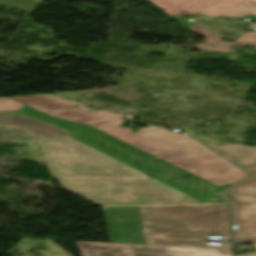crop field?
Instances as JSON below:
<instances>
[{
	"mask_svg": "<svg viewBox=\"0 0 256 256\" xmlns=\"http://www.w3.org/2000/svg\"><path fill=\"white\" fill-rule=\"evenodd\" d=\"M172 15L182 12L244 17L256 14V0H153Z\"/></svg>",
	"mask_w": 256,
	"mask_h": 256,
	"instance_id": "7",
	"label": "crop field"
},
{
	"mask_svg": "<svg viewBox=\"0 0 256 256\" xmlns=\"http://www.w3.org/2000/svg\"><path fill=\"white\" fill-rule=\"evenodd\" d=\"M105 212L112 243L232 249L207 245L208 235L232 241L226 205L107 207Z\"/></svg>",
	"mask_w": 256,
	"mask_h": 256,
	"instance_id": "3",
	"label": "crop field"
},
{
	"mask_svg": "<svg viewBox=\"0 0 256 256\" xmlns=\"http://www.w3.org/2000/svg\"><path fill=\"white\" fill-rule=\"evenodd\" d=\"M174 19H176L180 24H182L183 26H185V27H187L188 29L191 30L192 26H190L188 23H186L185 21H183V20H182L183 18H174ZM182 22H184V23H182Z\"/></svg>",
	"mask_w": 256,
	"mask_h": 256,
	"instance_id": "12",
	"label": "crop field"
},
{
	"mask_svg": "<svg viewBox=\"0 0 256 256\" xmlns=\"http://www.w3.org/2000/svg\"><path fill=\"white\" fill-rule=\"evenodd\" d=\"M12 98L54 117L93 125L219 186L233 184L247 175L190 137L154 126L143 128L135 133L129 130L130 128H121L119 125L124 123L121 119L124 115L105 110L84 113L92 109L50 94ZM74 105L80 107L71 108ZM81 109L84 110L80 111Z\"/></svg>",
	"mask_w": 256,
	"mask_h": 256,
	"instance_id": "2",
	"label": "crop field"
},
{
	"mask_svg": "<svg viewBox=\"0 0 256 256\" xmlns=\"http://www.w3.org/2000/svg\"><path fill=\"white\" fill-rule=\"evenodd\" d=\"M22 104L8 98H0V111L21 109Z\"/></svg>",
	"mask_w": 256,
	"mask_h": 256,
	"instance_id": "10",
	"label": "crop field"
},
{
	"mask_svg": "<svg viewBox=\"0 0 256 256\" xmlns=\"http://www.w3.org/2000/svg\"><path fill=\"white\" fill-rule=\"evenodd\" d=\"M77 243L82 256H232V250Z\"/></svg>",
	"mask_w": 256,
	"mask_h": 256,
	"instance_id": "6",
	"label": "crop field"
},
{
	"mask_svg": "<svg viewBox=\"0 0 256 256\" xmlns=\"http://www.w3.org/2000/svg\"><path fill=\"white\" fill-rule=\"evenodd\" d=\"M0 5L17 7L28 12H32L36 4L25 0H0Z\"/></svg>",
	"mask_w": 256,
	"mask_h": 256,
	"instance_id": "9",
	"label": "crop field"
},
{
	"mask_svg": "<svg viewBox=\"0 0 256 256\" xmlns=\"http://www.w3.org/2000/svg\"><path fill=\"white\" fill-rule=\"evenodd\" d=\"M38 141L62 186L101 205L200 203L70 137Z\"/></svg>",
	"mask_w": 256,
	"mask_h": 256,
	"instance_id": "1",
	"label": "crop field"
},
{
	"mask_svg": "<svg viewBox=\"0 0 256 256\" xmlns=\"http://www.w3.org/2000/svg\"><path fill=\"white\" fill-rule=\"evenodd\" d=\"M214 151L251 173L221 193L232 211L236 243H256V147L242 144L215 147Z\"/></svg>",
	"mask_w": 256,
	"mask_h": 256,
	"instance_id": "5",
	"label": "crop field"
},
{
	"mask_svg": "<svg viewBox=\"0 0 256 256\" xmlns=\"http://www.w3.org/2000/svg\"><path fill=\"white\" fill-rule=\"evenodd\" d=\"M207 44H210V43L199 44V48L203 49V50L223 52V53H231V51L233 49V47H226V46L217 45V44H212V45H217V47H209V46H206Z\"/></svg>",
	"mask_w": 256,
	"mask_h": 256,
	"instance_id": "11",
	"label": "crop field"
},
{
	"mask_svg": "<svg viewBox=\"0 0 256 256\" xmlns=\"http://www.w3.org/2000/svg\"><path fill=\"white\" fill-rule=\"evenodd\" d=\"M236 256H256V253H251V254H241V255H236Z\"/></svg>",
	"mask_w": 256,
	"mask_h": 256,
	"instance_id": "13",
	"label": "crop field"
},
{
	"mask_svg": "<svg viewBox=\"0 0 256 256\" xmlns=\"http://www.w3.org/2000/svg\"><path fill=\"white\" fill-rule=\"evenodd\" d=\"M195 33H200L204 37L207 38V41L209 42H215V43H222V44H250V45H256V33H250L245 32L236 42L228 43L223 42L216 38L214 35H212L210 32H208L206 29H204L199 24L195 23L192 29Z\"/></svg>",
	"mask_w": 256,
	"mask_h": 256,
	"instance_id": "8",
	"label": "crop field"
},
{
	"mask_svg": "<svg viewBox=\"0 0 256 256\" xmlns=\"http://www.w3.org/2000/svg\"><path fill=\"white\" fill-rule=\"evenodd\" d=\"M19 115L51 123L70 133L72 138L95 148L145 174L204 203L230 184L222 187L202 180L159 158L125 144L91 126L62 121L24 106Z\"/></svg>",
	"mask_w": 256,
	"mask_h": 256,
	"instance_id": "4",
	"label": "crop field"
}]
</instances>
